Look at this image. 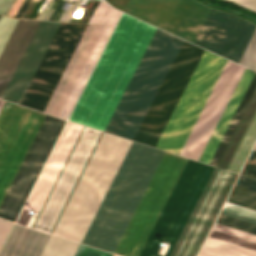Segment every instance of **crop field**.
Returning a JSON list of instances; mask_svg holds the SVG:
<instances>
[{
    "label": "crop field",
    "instance_id": "d3111659",
    "mask_svg": "<svg viewBox=\"0 0 256 256\" xmlns=\"http://www.w3.org/2000/svg\"><path fill=\"white\" fill-rule=\"evenodd\" d=\"M240 64L256 71V31L240 61Z\"/></svg>",
    "mask_w": 256,
    "mask_h": 256
},
{
    "label": "crop field",
    "instance_id": "5d738f31",
    "mask_svg": "<svg viewBox=\"0 0 256 256\" xmlns=\"http://www.w3.org/2000/svg\"><path fill=\"white\" fill-rule=\"evenodd\" d=\"M248 159H249V160H252V161H256V159H253V158H250V157H249Z\"/></svg>",
    "mask_w": 256,
    "mask_h": 256
},
{
    "label": "crop field",
    "instance_id": "d9b57169",
    "mask_svg": "<svg viewBox=\"0 0 256 256\" xmlns=\"http://www.w3.org/2000/svg\"><path fill=\"white\" fill-rule=\"evenodd\" d=\"M49 234L15 224L0 256H39Z\"/></svg>",
    "mask_w": 256,
    "mask_h": 256
},
{
    "label": "crop field",
    "instance_id": "8a807250",
    "mask_svg": "<svg viewBox=\"0 0 256 256\" xmlns=\"http://www.w3.org/2000/svg\"><path fill=\"white\" fill-rule=\"evenodd\" d=\"M202 52L156 29L105 132L154 147Z\"/></svg>",
    "mask_w": 256,
    "mask_h": 256
},
{
    "label": "crop field",
    "instance_id": "5142ce71",
    "mask_svg": "<svg viewBox=\"0 0 256 256\" xmlns=\"http://www.w3.org/2000/svg\"><path fill=\"white\" fill-rule=\"evenodd\" d=\"M256 26L212 10L196 44L239 62Z\"/></svg>",
    "mask_w": 256,
    "mask_h": 256
},
{
    "label": "crop field",
    "instance_id": "5866460e",
    "mask_svg": "<svg viewBox=\"0 0 256 256\" xmlns=\"http://www.w3.org/2000/svg\"><path fill=\"white\" fill-rule=\"evenodd\" d=\"M14 0H0V13L6 15Z\"/></svg>",
    "mask_w": 256,
    "mask_h": 256
},
{
    "label": "crop field",
    "instance_id": "03da06ac",
    "mask_svg": "<svg viewBox=\"0 0 256 256\" xmlns=\"http://www.w3.org/2000/svg\"><path fill=\"white\" fill-rule=\"evenodd\" d=\"M250 157L256 158V152L252 151V153L250 154Z\"/></svg>",
    "mask_w": 256,
    "mask_h": 256
},
{
    "label": "crop field",
    "instance_id": "a9b5d70f",
    "mask_svg": "<svg viewBox=\"0 0 256 256\" xmlns=\"http://www.w3.org/2000/svg\"><path fill=\"white\" fill-rule=\"evenodd\" d=\"M109 7L105 2L100 1L89 23L116 25L121 13Z\"/></svg>",
    "mask_w": 256,
    "mask_h": 256
},
{
    "label": "crop field",
    "instance_id": "d23c7cc5",
    "mask_svg": "<svg viewBox=\"0 0 256 256\" xmlns=\"http://www.w3.org/2000/svg\"><path fill=\"white\" fill-rule=\"evenodd\" d=\"M253 150V149H252ZM254 151H256V146H255V148H254Z\"/></svg>",
    "mask_w": 256,
    "mask_h": 256
},
{
    "label": "crop field",
    "instance_id": "92a150f3",
    "mask_svg": "<svg viewBox=\"0 0 256 256\" xmlns=\"http://www.w3.org/2000/svg\"><path fill=\"white\" fill-rule=\"evenodd\" d=\"M255 86H256V73L254 74V76H253V78H252V80H251V82H250V84H249V86H248V88H247V90H246V92H245V94H244V96H243V98H242V100H241V102H240V104H239V106H238V108H237V110H236V112H235V114H234V116H233V118H232V120H231V122H230L222 140H221V142H220V144H219V146H218V148H217V150H216V152H215V154H214V156H213V158L210 162V165H214V166L216 165V163H217V161H218V159H219V157H220V155H221L229 137L231 136V134H232V132H233V130H234V128H235V126H236V124H237V122H238V120H239V118H240V116H241V114H242V112H243V110H244V108H245V106H246L254 88H255Z\"/></svg>",
    "mask_w": 256,
    "mask_h": 256
},
{
    "label": "crop field",
    "instance_id": "34b2d1b8",
    "mask_svg": "<svg viewBox=\"0 0 256 256\" xmlns=\"http://www.w3.org/2000/svg\"><path fill=\"white\" fill-rule=\"evenodd\" d=\"M163 154L132 142L83 244L114 252Z\"/></svg>",
    "mask_w": 256,
    "mask_h": 256
},
{
    "label": "crop field",
    "instance_id": "ac0d7876",
    "mask_svg": "<svg viewBox=\"0 0 256 256\" xmlns=\"http://www.w3.org/2000/svg\"><path fill=\"white\" fill-rule=\"evenodd\" d=\"M154 31L123 14L69 120L104 131Z\"/></svg>",
    "mask_w": 256,
    "mask_h": 256
},
{
    "label": "crop field",
    "instance_id": "b54c1fbb",
    "mask_svg": "<svg viewBox=\"0 0 256 256\" xmlns=\"http://www.w3.org/2000/svg\"><path fill=\"white\" fill-rule=\"evenodd\" d=\"M3 104H4V101H1V100H0V110H1V108H2V106H3Z\"/></svg>",
    "mask_w": 256,
    "mask_h": 256
},
{
    "label": "crop field",
    "instance_id": "ae1a2a85",
    "mask_svg": "<svg viewBox=\"0 0 256 256\" xmlns=\"http://www.w3.org/2000/svg\"><path fill=\"white\" fill-rule=\"evenodd\" d=\"M216 223L256 235V225L219 214Z\"/></svg>",
    "mask_w": 256,
    "mask_h": 256
},
{
    "label": "crop field",
    "instance_id": "4177f3b9",
    "mask_svg": "<svg viewBox=\"0 0 256 256\" xmlns=\"http://www.w3.org/2000/svg\"><path fill=\"white\" fill-rule=\"evenodd\" d=\"M255 139H256V118L230 168V171L239 173Z\"/></svg>",
    "mask_w": 256,
    "mask_h": 256
},
{
    "label": "crop field",
    "instance_id": "dd49c442",
    "mask_svg": "<svg viewBox=\"0 0 256 256\" xmlns=\"http://www.w3.org/2000/svg\"><path fill=\"white\" fill-rule=\"evenodd\" d=\"M39 21L19 20L0 57V99ZM60 23L40 21L2 100L19 104Z\"/></svg>",
    "mask_w": 256,
    "mask_h": 256
},
{
    "label": "crop field",
    "instance_id": "dafd665d",
    "mask_svg": "<svg viewBox=\"0 0 256 256\" xmlns=\"http://www.w3.org/2000/svg\"><path fill=\"white\" fill-rule=\"evenodd\" d=\"M78 243L51 235L41 256H73Z\"/></svg>",
    "mask_w": 256,
    "mask_h": 256
},
{
    "label": "crop field",
    "instance_id": "eef30255",
    "mask_svg": "<svg viewBox=\"0 0 256 256\" xmlns=\"http://www.w3.org/2000/svg\"><path fill=\"white\" fill-rule=\"evenodd\" d=\"M18 20L0 16V55L10 38Z\"/></svg>",
    "mask_w": 256,
    "mask_h": 256
},
{
    "label": "crop field",
    "instance_id": "bd1437ed",
    "mask_svg": "<svg viewBox=\"0 0 256 256\" xmlns=\"http://www.w3.org/2000/svg\"><path fill=\"white\" fill-rule=\"evenodd\" d=\"M256 13V0H226Z\"/></svg>",
    "mask_w": 256,
    "mask_h": 256
},
{
    "label": "crop field",
    "instance_id": "120bbe31",
    "mask_svg": "<svg viewBox=\"0 0 256 256\" xmlns=\"http://www.w3.org/2000/svg\"><path fill=\"white\" fill-rule=\"evenodd\" d=\"M236 185L256 191V181L239 176Z\"/></svg>",
    "mask_w": 256,
    "mask_h": 256
},
{
    "label": "crop field",
    "instance_id": "4a817a6b",
    "mask_svg": "<svg viewBox=\"0 0 256 256\" xmlns=\"http://www.w3.org/2000/svg\"><path fill=\"white\" fill-rule=\"evenodd\" d=\"M256 115V89L225 149L217 167L229 169L254 117Z\"/></svg>",
    "mask_w": 256,
    "mask_h": 256
},
{
    "label": "crop field",
    "instance_id": "bc2a9ffb",
    "mask_svg": "<svg viewBox=\"0 0 256 256\" xmlns=\"http://www.w3.org/2000/svg\"><path fill=\"white\" fill-rule=\"evenodd\" d=\"M204 247L214 249L233 256H256V251L217 238L208 236ZM202 248L199 256H229L214 250Z\"/></svg>",
    "mask_w": 256,
    "mask_h": 256
},
{
    "label": "crop field",
    "instance_id": "f4fd0767",
    "mask_svg": "<svg viewBox=\"0 0 256 256\" xmlns=\"http://www.w3.org/2000/svg\"><path fill=\"white\" fill-rule=\"evenodd\" d=\"M130 144L103 133L53 234L81 242Z\"/></svg>",
    "mask_w": 256,
    "mask_h": 256
},
{
    "label": "crop field",
    "instance_id": "00972430",
    "mask_svg": "<svg viewBox=\"0 0 256 256\" xmlns=\"http://www.w3.org/2000/svg\"><path fill=\"white\" fill-rule=\"evenodd\" d=\"M228 202L256 210V192L234 185Z\"/></svg>",
    "mask_w": 256,
    "mask_h": 256
},
{
    "label": "crop field",
    "instance_id": "d1516ede",
    "mask_svg": "<svg viewBox=\"0 0 256 256\" xmlns=\"http://www.w3.org/2000/svg\"><path fill=\"white\" fill-rule=\"evenodd\" d=\"M124 12L194 43L210 9L195 0H129Z\"/></svg>",
    "mask_w": 256,
    "mask_h": 256
},
{
    "label": "crop field",
    "instance_id": "028f5c9d",
    "mask_svg": "<svg viewBox=\"0 0 256 256\" xmlns=\"http://www.w3.org/2000/svg\"><path fill=\"white\" fill-rule=\"evenodd\" d=\"M29 2H30V0H24V2L22 3L21 7L18 10V12L15 15V18H21L22 14L25 11L26 7L28 6Z\"/></svg>",
    "mask_w": 256,
    "mask_h": 256
},
{
    "label": "crop field",
    "instance_id": "0bd39190",
    "mask_svg": "<svg viewBox=\"0 0 256 256\" xmlns=\"http://www.w3.org/2000/svg\"><path fill=\"white\" fill-rule=\"evenodd\" d=\"M78 3H79V1H76V2H75V4H74V6H73V8H72V10H71V12H70V14L68 15L66 21H70V19H71L72 15H73V13H74V11H75V9H76Z\"/></svg>",
    "mask_w": 256,
    "mask_h": 256
},
{
    "label": "crop field",
    "instance_id": "d8731c3e",
    "mask_svg": "<svg viewBox=\"0 0 256 256\" xmlns=\"http://www.w3.org/2000/svg\"><path fill=\"white\" fill-rule=\"evenodd\" d=\"M226 60L204 51L156 147L180 153Z\"/></svg>",
    "mask_w": 256,
    "mask_h": 256
},
{
    "label": "crop field",
    "instance_id": "c035e120",
    "mask_svg": "<svg viewBox=\"0 0 256 256\" xmlns=\"http://www.w3.org/2000/svg\"><path fill=\"white\" fill-rule=\"evenodd\" d=\"M53 11H54L53 9H50V11L48 12V14H47L45 20H49V18H50V16L52 15Z\"/></svg>",
    "mask_w": 256,
    "mask_h": 256
},
{
    "label": "crop field",
    "instance_id": "e1f06a70",
    "mask_svg": "<svg viewBox=\"0 0 256 256\" xmlns=\"http://www.w3.org/2000/svg\"><path fill=\"white\" fill-rule=\"evenodd\" d=\"M99 1H94L93 5L91 6L89 12L87 13L86 17L84 18L83 22L87 23L91 17V15L93 14L95 8L97 7Z\"/></svg>",
    "mask_w": 256,
    "mask_h": 256
},
{
    "label": "crop field",
    "instance_id": "5a996713",
    "mask_svg": "<svg viewBox=\"0 0 256 256\" xmlns=\"http://www.w3.org/2000/svg\"><path fill=\"white\" fill-rule=\"evenodd\" d=\"M113 27L88 25L44 113L67 119Z\"/></svg>",
    "mask_w": 256,
    "mask_h": 256
},
{
    "label": "crop field",
    "instance_id": "28ad6ade",
    "mask_svg": "<svg viewBox=\"0 0 256 256\" xmlns=\"http://www.w3.org/2000/svg\"><path fill=\"white\" fill-rule=\"evenodd\" d=\"M86 27L61 23L20 105L43 112Z\"/></svg>",
    "mask_w": 256,
    "mask_h": 256
},
{
    "label": "crop field",
    "instance_id": "d32e631a",
    "mask_svg": "<svg viewBox=\"0 0 256 256\" xmlns=\"http://www.w3.org/2000/svg\"><path fill=\"white\" fill-rule=\"evenodd\" d=\"M11 223L10 222H6L3 221L2 219H0V245L10 227Z\"/></svg>",
    "mask_w": 256,
    "mask_h": 256
},
{
    "label": "crop field",
    "instance_id": "733c2abd",
    "mask_svg": "<svg viewBox=\"0 0 256 256\" xmlns=\"http://www.w3.org/2000/svg\"><path fill=\"white\" fill-rule=\"evenodd\" d=\"M253 73L245 70L237 88L235 89L228 105L226 106L218 124L216 125L209 141L207 142L199 161L209 164L251 78Z\"/></svg>",
    "mask_w": 256,
    "mask_h": 256
},
{
    "label": "crop field",
    "instance_id": "214f88e0",
    "mask_svg": "<svg viewBox=\"0 0 256 256\" xmlns=\"http://www.w3.org/2000/svg\"><path fill=\"white\" fill-rule=\"evenodd\" d=\"M209 235L256 250V236L248 233L215 223Z\"/></svg>",
    "mask_w": 256,
    "mask_h": 256
},
{
    "label": "crop field",
    "instance_id": "c21b1889",
    "mask_svg": "<svg viewBox=\"0 0 256 256\" xmlns=\"http://www.w3.org/2000/svg\"><path fill=\"white\" fill-rule=\"evenodd\" d=\"M66 14H67V12H66V11H64V13L62 14V16H61V18H60V20H59V21H63V20H64V18H65V16H66Z\"/></svg>",
    "mask_w": 256,
    "mask_h": 256
},
{
    "label": "crop field",
    "instance_id": "730fd06b",
    "mask_svg": "<svg viewBox=\"0 0 256 256\" xmlns=\"http://www.w3.org/2000/svg\"><path fill=\"white\" fill-rule=\"evenodd\" d=\"M221 214L234 217L252 224H256V212L237 206H228L221 210Z\"/></svg>",
    "mask_w": 256,
    "mask_h": 256
},
{
    "label": "crop field",
    "instance_id": "cbeb9de0",
    "mask_svg": "<svg viewBox=\"0 0 256 256\" xmlns=\"http://www.w3.org/2000/svg\"><path fill=\"white\" fill-rule=\"evenodd\" d=\"M243 71L244 68L227 61L180 153L181 155L198 160Z\"/></svg>",
    "mask_w": 256,
    "mask_h": 256
},
{
    "label": "crop field",
    "instance_id": "3316defc",
    "mask_svg": "<svg viewBox=\"0 0 256 256\" xmlns=\"http://www.w3.org/2000/svg\"><path fill=\"white\" fill-rule=\"evenodd\" d=\"M237 176L214 168L170 256H197Z\"/></svg>",
    "mask_w": 256,
    "mask_h": 256
},
{
    "label": "crop field",
    "instance_id": "1d83c4d3",
    "mask_svg": "<svg viewBox=\"0 0 256 256\" xmlns=\"http://www.w3.org/2000/svg\"><path fill=\"white\" fill-rule=\"evenodd\" d=\"M241 175L256 179V162L248 160Z\"/></svg>",
    "mask_w": 256,
    "mask_h": 256
},
{
    "label": "crop field",
    "instance_id": "412701ff",
    "mask_svg": "<svg viewBox=\"0 0 256 256\" xmlns=\"http://www.w3.org/2000/svg\"><path fill=\"white\" fill-rule=\"evenodd\" d=\"M81 129H82V126L67 122L44 168V171L40 175L17 221L18 223L25 225L32 211L40 212ZM99 134H100V131L84 127L69 159L67 160L51 194L49 195L34 225V228H37L49 233L51 232Z\"/></svg>",
    "mask_w": 256,
    "mask_h": 256
},
{
    "label": "crop field",
    "instance_id": "22f410ed",
    "mask_svg": "<svg viewBox=\"0 0 256 256\" xmlns=\"http://www.w3.org/2000/svg\"><path fill=\"white\" fill-rule=\"evenodd\" d=\"M64 123L46 115L0 205V217L15 221Z\"/></svg>",
    "mask_w": 256,
    "mask_h": 256
},
{
    "label": "crop field",
    "instance_id": "e52e79f7",
    "mask_svg": "<svg viewBox=\"0 0 256 256\" xmlns=\"http://www.w3.org/2000/svg\"><path fill=\"white\" fill-rule=\"evenodd\" d=\"M213 167L188 159L164 209L162 210L140 256L157 255L163 242L170 244L169 256Z\"/></svg>",
    "mask_w": 256,
    "mask_h": 256
},
{
    "label": "crop field",
    "instance_id": "750c4746",
    "mask_svg": "<svg viewBox=\"0 0 256 256\" xmlns=\"http://www.w3.org/2000/svg\"><path fill=\"white\" fill-rule=\"evenodd\" d=\"M84 248V245L80 244L75 256H80L82 250ZM111 253H107L101 250H97L91 247L85 246L81 256H111Z\"/></svg>",
    "mask_w": 256,
    "mask_h": 256
},
{
    "label": "crop field",
    "instance_id": "b80d0937",
    "mask_svg": "<svg viewBox=\"0 0 256 256\" xmlns=\"http://www.w3.org/2000/svg\"><path fill=\"white\" fill-rule=\"evenodd\" d=\"M65 2V1H64ZM63 1H60L59 5L57 6L55 12L53 13L52 17L50 18V20H53L54 16L56 15L57 11L59 10L60 6L62 5ZM62 7V6H61Z\"/></svg>",
    "mask_w": 256,
    "mask_h": 256
},
{
    "label": "crop field",
    "instance_id": "425ffa30",
    "mask_svg": "<svg viewBox=\"0 0 256 256\" xmlns=\"http://www.w3.org/2000/svg\"><path fill=\"white\" fill-rule=\"evenodd\" d=\"M112 256H114V255H112Z\"/></svg>",
    "mask_w": 256,
    "mask_h": 256
}]
</instances>
